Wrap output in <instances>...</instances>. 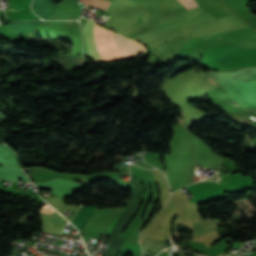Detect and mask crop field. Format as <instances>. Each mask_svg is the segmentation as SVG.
<instances>
[{
	"mask_svg": "<svg viewBox=\"0 0 256 256\" xmlns=\"http://www.w3.org/2000/svg\"><path fill=\"white\" fill-rule=\"evenodd\" d=\"M93 29L94 22L92 20L86 22L83 27L87 51L94 62H104L102 57L104 58L105 62L121 61L124 59L127 60L141 52L146 51L142 44L114 34L115 44L124 57L123 59L114 44L113 32L110 30H105L98 24H95L94 33L97 48L102 56L101 57L96 48Z\"/></svg>",
	"mask_w": 256,
	"mask_h": 256,
	"instance_id": "obj_1",
	"label": "crop field"
},
{
	"mask_svg": "<svg viewBox=\"0 0 256 256\" xmlns=\"http://www.w3.org/2000/svg\"><path fill=\"white\" fill-rule=\"evenodd\" d=\"M221 44L252 45L256 44V32L252 27L192 38L183 43L175 55L182 56L198 50Z\"/></svg>",
	"mask_w": 256,
	"mask_h": 256,
	"instance_id": "obj_2",
	"label": "crop field"
},
{
	"mask_svg": "<svg viewBox=\"0 0 256 256\" xmlns=\"http://www.w3.org/2000/svg\"><path fill=\"white\" fill-rule=\"evenodd\" d=\"M79 1L91 4L94 7L101 8V9H104V10L106 9V7L110 3V1H106V0H79Z\"/></svg>",
	"mask_w": 256,
	"mask_h": 256,
	"instance_id": "obj_3",
	"label": "crop field"
},
{
	"mask_svg": "<svg viewBox=\"0 0 256 256\" xmlns=\"http://www.w3.org/2000/svg\"><path fill=\"white\" fill-rule=\"evenodd\" d=\"M215 177V176H214ZM213 177L211 176V177H209L208 179H206V180H210V179H212ZM214 179V178H213Z\"/></svg>",
	"mask_w": 256,
	"mask_h": 256,
	"instance_id": "obj_4",
	"label": "crop field"
}]
</instances>
